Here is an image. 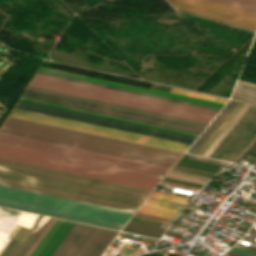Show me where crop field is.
<instances>
[{
  "instance_id": "1",
  "label": "crop field",
  "mask_w": 256,
  "mask_h": 256,
  "mask_svg": "<svg viewBox=\"0 0 256 256\" xmlns=\"http://www.w3.org/2000/svg\"><path fill=\"white\" fill-rule=\"evenodd\" d=\"M0 158L150 190L174 165L2 127Z\"/></svg>"
},
{
  "instance_id": "2",
  "label": "crop field",
  "mask_w": 256,
  "mask_h": 256,
  "mask_svg": "<svg viewBox=\"0 0 256 256\" xmlns=\"http://www.w3.org/2000/svg\"><path fill=\"white\" fill-rule=\"evenodd\" d=\"M0 185L131 213L151 192L3 159Z\"/></svg>"
},
{
  "instance_id": "3",
  "label": "crop field",
  "mask_w": 256,
  "mask_h": 256,
  "mask_svg": "<svg viewBox=\"0 0 256 256\" xmlns=\"http://www.w3.org/2000/svg\"><path fill=\"white\" fill-rule=\"evenodd\" d=\"M29 85L69 93L73 95L98 99L102 101L127 105L131 107L156 111L160 113L185 117L207 123L216 114L215 112L139 97L121 92L106 90L102 88L87 86L69 81L54 79L37 74L34 76ZM207 116H210L211 118H208Z\"/></svg>"
},
{
  "instance_id": "4",
  "label": "crop field",
  "mask_w": 256,
  "mask_h": 256,
  "mask_svg": "<svg viewBox=\"0 0 256 256\" xmlns=\"http://www.w3.org/2000/svg\"><path fill=\"white\" fill-rule=\"evenodd\" d=\"M2 127L176 163L181 153L7 117Z\"/></svg>"
},
{
  "instance_id": "5",
  "label": "crop field",
  "mask_w": 256,
  "mask_h": 256,
  "mask_svg": "<svg viewBox=\"0 0 256 256\" xmlns=\"http://www.w3.org/2000/svg\"><path fill=\"white\" fill-rule=\"evenodd\" d=\"M10 117L184 153L188 144L13 108Z\"/></svg>"
},
{
  "instance_id": "6",
  "label": "crop field",
  "mask_w": 256,
  "mask_h": 256,
  "mask_svg": "<svg viewBox=\"0 0 256 256\" xmlns=\"http://www.w3.org/2000/svg\"><path fill=\"white\" fill-rule=\"evenodd\" d=\"M0 198L125 224L131 213L0 186Z\"/></svg>"
},
{
  "instance_id": "7",
  "label": "crop field",
  "mask_w": 256,
  "mask_h": 256,
  "mask_svg": "<svg viewBox=\"0 0 256 256\" xmlns=\"http://www.w3.org/2000/svg\"><path fill=\"white\" fill-rule=\"evenodd\" d=\"M15 107L25 109V110L45 113V114H49V115L69 118V119H73V120L88 122V123H92V124L112 127V128H116V129L131 131V132H135V133L155 136V137H159V138L179 141V142L188 143V144H191L196 139L195 136L185 135V134H181V133L156 129V128H152V127L127 123V122H123V121H118V120H113V119H108V118H103V117H98V116H93V115H89V114L64 110V109H60V108L35 104V103L21 101V100H18Z\"/></svg>"
},
{
  "instance_id": "8",
  "label": "crop field",
  "mask_w": 256,
  "mask_h": 256,
  "mask_svg": "<svg viewBox=\"0 0 256 256\" xmlns=\"http://www.w3.org/2000/svg\"><path fill=\"white\" fill-rule=\"evenodd\" d=\"M117 233L74 223L51 256H101Z\"/></svg>"
},
{
  "instance_id": "9",
  "label": "crop field",
  "mask_w": 256,
  "mask_h": 256,
  "mask_svg": "<svg viewBox=\"0 0 256 256\" xmlns=\"http://www.w3.org/2000/svg\"><path fill=\"white\" fill-rule=\"evenodd\" d=\"M180 10L221 20L250 29H256V13L208 0H168Z\"/></svg>"
},
{
  "instance_id": "10",
  "label": "crop field",
  "mask_w": 256,
  "mask_h": 256,
  "mask_svg": "<svg viewBox=\"0 0 256 256\" xmlns=\"http://www.w3.org/2000/svg\"><path fill=\"white\" fill-rule=\"evenodd\" d=\"M72 225V222L52 218L25 256H50Z\"/></svg>"
},
{
  "instance_id": "11",
  "label": "crop field",
  "mask_w": 256,
  "mask_h": 256,
  "mask_svg": "<svg viewBox=\"0 0 256 256\" xmlns=\"http://www.w3.org/2000/svg\"><path fill=\"white\" fill-rule=\"evenodd\" d=\"M0 205L6 206V207H11V208H16V209H21V210H25V211H30V212L55 216V217H59V218L89 223V224H93V225L108 227V228H112V229H116V230H120L123 226L122 224H117V223H113V222H108V221L98 220V219H94V218L79 216V215H75V214L60 212V211H56V210L27 205V204H23V203L8 201V200H4V199H0Z\"/></svg>"
},
{
  "instance_id": "12",
  "label": "crop field",
  "mask_w": 256,
  "mask_h": 256,
  "mask_svg": "<svg viewBox=\"0 0 256 256\" xmlns=\"http://www.w3.org/2000/svg\"><path fill=\"white\" fill-rule=\"evenodd\" d=\"M37 73L47 75V76L57 77V78H61V79L71 80V81H75V82L85 83V84H89V85L99 86V87H103V88L113 89V90H117V91L127 92V93H131V94L141 95V96H145V97L155 98V99H159V100L169 101V102H173V103L183 104V105H187V106L197 107V108H201V109L211 110V111H215V112H218L220 109L219 107L203 105V104H198V103H193V102H188V101H183V100H178V99H173V98H167V97H162V96H157V95H152V94H147V93H143V92L119 88V87H115V86H110V85H106V84L82 80V79H78V78H73V77H69V76L45 72V71H41V70H38Z\"/></svg>"
},
{
  "instance_id": "13",
  "label": "crop field",
  "mask_w": 256,
  "mask_h": 256,
  "mask_svg": "<svg viewBox=\"0 0 256 256\" xmlns=\"http://www.w3.org/2000/svg\"><path fill=\"white\" fill-rule=\"evenodd\" d=\"M25 92L35 94V95L45 96V97H49V98L64 100V101H68V102L78 103V104H82V105L97 107V108H101V109L111 110V111H115V112L125 113V114H129V115H134V116L144 117V118H148V119L158 120V121H162V122H167V123L177 124V125H181V126L191 127V128H195V129L203 130V128H204L203 126H198V125H194V124H189V123L179 122V121H175V120L160 118V117H156V116L146 115V114L127 111V110L118 109V108L108 107V106H104V105L89 103V102H85V101L70 99V98H66V97H61V96H56V95H52V94L37 92V91H33V90L26 89Z\"/></svg>"
},
{
  "instance_id": "14",
  "label": "crop field",
  "mask_w": 256,
  "mask_h": 256,
  "mask_svg": "<svg viewBox=\"0 0 256 256\" xmlns=\"http://www.w3.org/2000/svg\"><path fill=\"white\" fill-rule=\"evenodd\" d=\"M40 69L50 71V72L60 73V74H64V75L79 77V78H83V79L93 80V81H97V82L107 83V84H111V85L126 87V88H130V89L140 90V91H144V92H149V93H154V94H159V95H164V96H169V97H174V98H179V99H184V100H189V101H194V102H199V103H204V104H209V105H214V106H219V107H222V105H223L222 103H217V102H212V101H207V100H202V99H197V98H192V97H187V96H182V95H177V94H172V93H167V92H162V91L153 90V89H145V88L125 85V84H121V83H116V82H111V81H106V80H101V79H96V78L85 77V76H81V75L66 73V72L52 70V69L43 68V67H40Z\"/></svg>"
},
{
  "instance_id": "15",
  "label": "crop field",
  "mask_w": 256,
  "mask_h": 256,
  "mask_svg": "<svg viewBox=\"0 0 256 256\" xmlns=\"http://www.w3.org/2000/svg\"><path fill=\"white\" fill-rule=\"evenodd\" d=\"M50 219L51 218H49L44 227L47 225ZM44 227L41 229V231L44 229ZM41 231L38 233V235L41 233ZM38 235L34 236L16 232V234L2 251L0 256H23L32 245V243L35 241V239L38 237Z\"/></svg>"
},
{
  "instance_id": "16",
  "label": "crop field",
  "mask_w": 256,
  "mask_h": 256,
  "mask_svg": "<svg viewBox=\"0 0 256 256\" xmlns=\"http://www.w3.org/2000/svg\"><path fill=\"white\" fill-rule=\"evenodd\" d=\"M172 206V203L148 198L137 212L174 219L181 209Z\"/></svg>"
},
{
  "instance_id": "17",
  "label": "crop field",
  "mask_w": 256,
  "mask_h": 256,
  "mask_svg": "<svg viewBox=\"0 0 256 256\" xmlns=\"http://www.w3.org/2000/svg\"><path fill=\"white\" fill-rule=\"evenodd\" d=\"M21 99H22V100H27V101L36 102V103H41V104L56 106V107H60V108H65V109L80 111V112H84V113H89V114H94V115L109 117V118H113V119H118V120L133 122V123H137V124H142V125L157 127V128H161V129H166V130L181 132V133H185V134H190V135H195V136H198V135H199L198 133H193V132H189V131L174 129V128L165 127V126H160V125H156V124H151V123L141 122V121H137V120L122 118V117L113 116V115L103 114V113H99V112L84 110V109H80V108H75V107H70V106H66V105L51 103V102H47V101L32 99V98H28V97H23V96H22Z\"/></svg>"
},
{
  "instance_id": "18",
  "label": "crop field",
  "mask_w": 256,
  "mask_h": 256,
  "mask_svg": "<svg viewBox=\"0 0 256 256\" xmlns=\"http://www.w3.org/2000/svg\"><path fill=\"white\" fill-rule=\"evenodd\" d=\"M237 101L229 100L224 108L219 112L215 119L210 123V125L205 129V131L200 135V137L195 141V143L190 147L187 152L196 154L201 146L206 142L214 130L219 126L227 114L236 105Z\"/></svg>"
},
{
  "instance_id": "19",
  "label": "crop field",
  "mask_w": 256,
  "mask_h": 256,
  "mask_svg": "<svg viewBox=\"0 0 256 256\" xmlns=\"http://www.w3.org/2000/svg\"><path fill=\"white\" fill-rule=\"evenodd\" d=\"M27 88H28V89L37 90V91H42V92L52 93V94H56V95H61V96H66V97H71V98H75V99L85 100V101H89V102H94V103L104 104V105H108V106H113V107L123 108V109H127V110H132V111L142 112V113H146V114H151V115L161 116V117H165V118L175 119V120H179V121H184V122L194 123V124H198V125H203V126H206V125H207L206 123H201V122H197V121H192V120L182 119V118H178V117H173V116H168V115L158 114V113H154V112H149V111L139 110V109H135V108H130V107L120 106V105H116V104H111V103L101 102V101H97V100H92V99L82 98V97H78V96H73V95H68V94L58 93V92H54V91H49V90L39 89V88H35V87L27 86Z\"/></svg>"
},
{
  "instance_id": "20",
  "label": "crop field",
  "mask_w": 256,
  "mask_h": 256,
  "mask_svg": "<svg viewBox=\"0 0 256 256\" xmlns=\"http://www.w3.org/2000/svg\"><path fill=\"white\" fill-rule=\"evenodd\" d=\"M22 95H24V96H29V97H33V98H38V99H43V100H47V101L62 103V104H66V105L76 106V107H80V108L95 110V111H99V112L109 113V114H113V115L123 116V117H127V118L142 120V121H146V122H151V123H156V124H160V125H165V126H170V127H175V128H179V129H184V130H189V131L201 133L200 130H195V129H191V128L181 127V126H177V125L162 123V122L153 121V120H148V119L139 118V117H134V116H129V115L120 114V113H115V112L106 111V110H101V109H97V108L82 106V105H78V104H73V103H68V102H64V101L49 99V98L40 97V96H35V95H31V94H26V93H23Z\"/></svg>"
},
{
  "instance_id": "21",
  "label": "crop field",
  "mask_w": 256,
  "mask_h": 256,
  "mask_svg": "<svg viewBox=\"0 0 256 256\" xmlns=\"http://www.w3.org/2000/svg\"><path fill=\"white\" fill-rule=\"evenodd\" d=\"M244 103L238 102L237 105L233 108V110L228 114V116L224 119V121L220 124V126L215 130V132L211 135V137L207 140V142L202 146V148L198 151L197 154L202 155L204 151L209 147V145L215 140V138L220 134V132L226 127V125L231 121V119L237 114V112L242 108Z\"/></svg>"
},
{
  "instance_id": "22",
  "label": "crop field",
  "mask_w": 256,
  "mask_h": 256,
  "mask_svg": "<svg viewBox=\"0 0 256 256\" xmlns=\"http://www.w3.org/2000/svg\"><path fill=\"white\" fill-rule=\"evenodd\" d=\"M250 105L245 104L243 108L238 112V114L232 119V121L227 125V127L221 132V134L216 138V140L210 145V147L203 154L204 156H209L210 153L215 149V147L220 143V141L225 137L229 130L234 126V124L239 120V118L244 114V112L249 108Z\"/></svg>"
},
{
  "instance_id": "23",
  "label": "crop field",
  "mask_w": 256,
  "mask_h": 256,
  "mask_svg": "<svg viewBox=\"0 0 256 256\" xmlns=\"http://www.w3.org/2000/svg\"><path fill=\"white\" fill-rule=\"evenodd\" d=\"M230 6L256 12V0H211Z\"/></svg>"
},
{
  "instance_id": "24",
  "label": "crop field",
  "mask_w": 256,
  "mask_h": 256,
  "mask_svg": "<svg viewBox=\"0 0 256 256\" xmlns=\"http://www.w3.org/2000/svg\"><path fill=\"white\" fill-rule=\"evenodd\" d=\"M234 92L256 98V84L239 79Z\"/></svg>"
},
{
  "instance_id": "25",
  "label": "crop field",
  "mask_w": 256,
  "mask_h": 256,
  "mask_svg": "<svg viewBox=\"0 0 256 256\" xmlns=\"http://www.w3.org/2000/svg\"><path fill=\"white\" fill-rule=\"evenodd\" d=\"M171 92L177 93V94H182V95H187V96H192V97H197V98H202V99H207V100H212V101H217V102H222V103H225V101L227 100L225 98L202 95V94L185 91V90H181V89H176V88H172Z\"/></svg>"
},
{
  "instance_id": "26",
  "label": "crop field",
  "mask_w": 256,
  "mask_h": 256,
  "mask_svg": "<svg viewBox=\"0 0 256 256\" xmlns=\"http://www.w3.org/2000/svg\"><path fill=\"white\" fill-rule=\"evenodd\" d=\"M152 198H157V199H162V200H168V201H173V202H178V203H183L187 204L190 199L174 196V195H169L161 192L154 191V193L150 196Z\"/></svg>"
},
{
  "instance_id": "27",
  "label": "crop field",
  "mask_w": 256,
  "mask_h": 256,
  "mask_svg": "<svg viewBox=\"0 0 256 256\" xmlns=\"http://www.w3.org/2000/svg\"><path fill=\"white\" fill-rule=\"evenodd\" d=\"M167 177L177 179V180L192 182V183H196V184H201V185H204V183L206 182L205 180L187 177V176H183V175H178V174H174V173L169 174Z\"/></svg>"
},
{
  "instance_id": "28",
  "label": "crop field",
  "mask_w": 256,
  "mask_h": 256,
  "mask_svg": "<svg viewBox=\"0 0 256 256\" xmlns=\"http://www.w3.org/2000/svg\"><path fill=\"white\" fill-rule=\"evenodd\" d=\"M193 159H197V160H202V161H206V162H211V163H215V164H222V165H226L228 163L226 162H222V161H217V160H213V159H208V158H204V157H199V156H192Z\"/></svg>"
},
{
  "instance_id": "29",
  "label": "crop field",
  "mask_w": 256,
  "mask_h": 256,
  "mask_svg": "<svg viewBox=\"0 0 256 256\" xmlns=\"http://www.w3.org/2000/svg\"><path fill=\"white\" fill-rule=\"evenodd\" d=\"M232 97L256 104V99L254 98L246 97V96L235 94V93L233 94Z\"/></svg>"
},
{
  "instance_id": "30",
  "label": "crop field",
  "mask_w": 256,
  "mask_h": 256,
  "mask_svg": "<svg viewBox=\"0 0 256 256\" xmlns=\"http://www.w3.org/2000/svg\"><path fill=\"white\" fill-rule=\"evenodd\" d=\"M230 251L240 253V254H243V255H246V256H256V254H253V253H250V252H247V251L235 248V247H233Z\"/></svg>"
},
{
  "instance_id": "31",
  "label": "crop field",
  "mask_w": 256,
  "mask_h": 256,
  "mask_svg": "<svg viewBox=\"0 0 256 256\" xmlns=\"http://www.w3.org/2000/svg\"><path fill=\"white\" fill-rule=\"evenodd\" d=\"M180 163H177V165L217 173L216 172L217 170L216 171H212L213 169L212 170H207L208 168L207 169H203L204 167L203 168H198L199 166L198 167H193L194 165L193 166H189L190 164L189 165H184L185 163L184 164H180Z\"/></svg>"
},
{
  "instance_id": "32",
  "label": "crop field",
  "mask_w": 256,
  "mask_h": 256,
  "mask_svg": "<svg viewBox=\"0 0 256 256\" xmlns=\"http://www.w3.org/2000/svg\"><path fill=\"white\" fill-rule=\"evenodd\" d=\"M249 234H252V235H255V236H256V232H255V231H252V230H250Z\"/></svg>"
},
{
  "instance_id": "33",
  "label": "crop field",
  "mask_w": 256,
  "mask_h": 256,
  "mask_svg": "<svg viewBox=\"0 0 256 256\" xmlns=\"http://www.w3.org/2000/svg\"><path fill=\"white\" fill-rule=\"evenodd\" d=\"M252 230H255V231H256V229H253V228H252Z\"/></svg>"
}]
</instances>
